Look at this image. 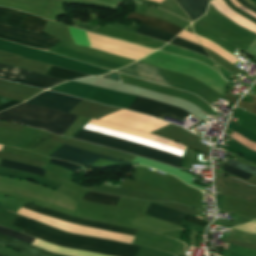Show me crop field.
<instances>
[{"label":"crop field","instance_id":"crop-field-13","mask_svg":"<svg viewBox=\"0 0 256 256\" xmlns=\"http://www.w3.org/2000/svg\"><path fill=\"white\" fill-rule=\"evenodd\" d=\"M153 51L154 50L146 49L133 45L131 43L116 40L115 44L110 50V53L137 60Z\"/></svg>","mask_w":256,"mask_h":256},{"label":"crop field","instance_id":"crop-field-12","mask_svg":"<svg viewBox=\"0 0 256 256\" xmlns=\"http://www.w3.org/2000/svg\"><path fill=\"white\" fill-rule=\"evenodd\" d=\"M69 31L75 44L84 45L88 47H91V44H92L93 48L100 49L107 52L110 50L113 43L115 42L114 39L98 36V35L87 32L91 41V44H90V41L86 32L72 28V27H69Z\"/></svg>","mask_w":256,"mask_h":256},{"label":"crop field","instance_id":"crop-field-14","mask_svg":"<svg viewBox=\"0 0 256 256\" xmlns=\"http://www.w3.org/2000/svg\"><path fill=\"white\" fill-rule=\"evenodd\" d=\"M145 215L156 217L177 225H179L184 217V214L160 207L152 203H150Z\"/></svg>","mask_w":256,"mask_h":256},{"label":"crop field","instance_id":"crop-field-7","mask_svg":"<svg viewBox=\"0 0 256 256\" xmlns=\"http://www.w3.org/2000/svg\"><path fill=\"white\" fill-rule=\"evenodd\" d=\"M128 109L134 110L136 112H141L155 116L157 118L163 119L165 115L171 116L173 118L183 120L185 116L189 113L166 104H162L156 101L149 100L147 98L136 97L133 103ZM186 118V117H185Z\"/></svg>","mask_w":256,"mask_h":256},{"label":"crop field","instance_id":"crop-field-17","mask_svg":"<svg viewBox=\"0 0 256 256\" xmlns=\"http://www.w3.org/2000/svg\"><path fill=\"white\" fill-rule=\"evenodd\" d=\"M0 243L6 244V245H10L22 250L27 251L29 254L33 255V256H64V255H59V254H55V253H51L48 251H45L43 249L34 247L32 245L23 243L21 241L18 240H13L4 236L0 235Z\"/></svg>","mask_w":256,"mask_h":256},{"label":"crop field","instance_id":"crop-field-19","mask_svg":"<svg viewBox=\"0 0 256 256\" xmlns=\"http://www.w3.org/2000/svg\"><path fill=\"white\" fill-rule=\"evenodd\" d=\"M46 21V19L26 14L19 28L33 30L41 33Z\"/></svg>","mask_w":256,"mask_h":256},{"label":"crop field","instance_id":"crop-field-26","mask_svg":"<svg viewBox=\"0 0 256 256\" xmlns=\"http://www.w3.org/2000/svg\"><path fill=\"white\" fill-rule=\"evenodd\" d=\"M62 161V160H61ZM61 161H58L56 159H51L50 163L51 164H55V165H59V166H62L64 168H67V169H70L72 171H75L79 168H81V166H77V165H73V164H69V163H65V162H61Z\"/></svg>","mask_w":256,"mask_h":256},{"label":"crop field","instance_id":"crop-field-4","mask_svg":"<svg viewBox=\"0 0 256 256\" xmlns=\"http://www.w3.org/2000/svg\"><path fill=\"white\" fill-rule=\"evenodd\" d=\"M26 13L0 7V23L13 27L19 26ZM0 24V38L27 46L48 50L60 40L40 35L38 33L13 28Z\"/></svg>","mask_w":256,"mask_h":256},{"label":"crop field","instance_id":"crop-field-3","mask_svg":"<svg viewBox=\"0 0 256 256\" xmlns=\"http://www.w3.org/2000/svg\"><path fill=\"white\" fill-rule=\"evenodd\" d=\"M73 137L86 140L94 144L116 148L124 152L147 157L158 162L166 163L181 168V157L157 149L144 147L132 142L120 140L117 138L109 137L106 135L94 133L83 129H81Z\"/></svg>","mask_w":256,"mask_h":256},{"label":"crop field","instance_id":"crop-field-27","mask_svg":"<svg viewBox=\"0 0 256 256\" xmlns=\"http://www.w3.org/2000/svg\"><path fill=\"white\" fill-rule=\"evenodd\" d=\"M184 220L194 222V223H196V224H198L200 226H203V227H205L206 224H207V222L201 221V220H199V219H197L195 217H191V216H187V215H185Z\"/></svg>","mask_w":256,"mask_h":256},{"label":"crop field","instance_id":"crop-field-10","mask_svg":"<svg viewBox=\"0 0 256 256\" xmlns=\"http://www.w3.org/2000/svg\"><path fill=\"white\" fill-rule=\"evenodd\" d=\"M0 234L19 239V240H21L23 242H27L29 244H31L32 241L34 240V238H32L30 236H27L25 234H22V233H19L16 231L5 229L3 227H0ZM32 245H35L37 247L43 248L48 251H52V252L59 253V254H65V255H69V256H106V255L94 254V253H89V252L64 249V248H60V247L54 246L52 244L46 243L44 241L37 240V239L34 240Z\"/></svg>","mask_w":256,"mask_h":256},{"label":"crop field","instance_id":"crop-field-16","mask_svg":"<svg viewBox=\"0 0 256 256\" xmlns=\"http://www.w3.org/2000/svg\"><path fill=\"white\" fill-rule=\"evenodd\" d=\"M127 18H138V19H140V21L142 23H145V24L151 25L153 27L162 29L164 31H167V32L175 35V36L182 31L181 28H179L177 26H174V25H172L168 22H165V21L160 20V19L152 18V17H147V16H144V15L130 13L127 16Z\"/></svg>","mask_w":256,"mask_h":256},{"label":"crop field","instance_id":"crop-field-11","mask_svg":"<svg viewBox=\"0 0 256 256\" xmlns=\"http://www.w3.org/2000/svg\"><path fill=\"white\" fill-rule=\"evenodd\" d=\"M116 71L129 74L135 77H139L145 80L160 83L163 85L171 86L169 82L164 78L159 68H154L139 61L135 62L131 66H127Z\"/></svg>","mask_w":256,"mask_h":256},{"label":"crop field","instance_id":"crop-field-24","mask_svg":"<svg viewBox=\"0 0 256 256\" xmlns=\"http://www.w3.org/2000/svg\"><path fill=\"white\" fill-rule=\"evenodd\" d=\"M227 162L230 166H233V167L238 168L240 170H243V171H246L248 173L256 175V168H254V167L245 166V165H243L239 162L232 161V160H227Z\"/></svg>","mask_w":256,"mask_h":256},{"label":"crop field","instance_id":"crop-field-21","mask_svg":"<svg viewBox=\"0 0 256 256\" xmlns=\"http://www.w3.org/2000/svg\"><path fill=\"white\" fill-rule=\"evenodd\" d=\"M0 167L22 170V171H26V172L36 174V175H40V176H43V173H44L43 169L28 166V165H24V164H20V163H16V162H12V161H9V160H4V159L1 160Z\"/></svg>","mask_w":256,"mask_h":256},{"label":"crop field","instance_id":"crop-field-25","mask_svg":"<svg viewBox=\"0 0 256 256\" xmlns=\"http://www.w3.org/2000/svg\"><path fill=\"white\" fill-rule=\"evenodd\" d=\"M222 165H223V171L230 172V173H232L234 175H237V176H239V177H241L245 180H247L251 176L248 173H245V172H242L240 170L234 169V168H232L230 166H227L225 164H222Z\"/></svg>","mask_w":256,"mask_h":256},{"label":"crop field","instance_id":"crop-field-31","mask_svg":"<svg viewBox=\"0 0 256 256\" xmlns=\"http://www.w3.org/2000/svg\"><path fill=\"white\" fill-rule=\"evenodd\" d=\"M178 37H180V38H184V39H187V40H189V41H191V42H193V43L199 44V43H198V42H196V41L190 40V39L185 38V37H182V36H180V35H178Z\"/></svg>","mask_w":256,"mask_h":256},{"label":"crop field","instance_id":"crop-field-2","mask_svg":"<svg viewBox=\"0 0 256 256\" xmlns=\"http://www.w3.org/2000/svg\"><path fill=\"white\" fill-rule=\"evenodd\" d=\"M76 117V115L26 103L0 112L1 120L26 124L59 135L65 133Z\"/></svg>","mask_w":256,"mask_h":256},{"label":"crop field","instance_id":"crop-field-22","mask_svg":"<svg viewBox=\"0 0 256 256\" xmlns=\"http://www.w3.org/2000/svg\"><path fill=\"white\" fill-rule=\"evenodd\" d=\"M47 75L58 77V78L69 79V80L89 76V75H86V74H82V73H78V72L58 68V67H55V66H53L50 69V71L47 73Z\"/></svg>","mask_w":256,"mask_h":256},{"label":"crop field","instance_id":"crop-field-29","mask_svg":"<svg viewBox=\"0 0 256 256\" xmlns=\"http://www.w3.org/2000/svg\"><path fill=\"white\" fill-rule=\"evenodd\" d=\"M246 52L256 55V40L251 44V46L246 50Z\"/></svg>","mask_w":256,"mask_h":256},{"label":"crop field","instance_id":"crop-field-9","mask_svg":"<svg viewBox=\"0 0 256 256\" xmlns=\"http://www.w3.org/2000/svg\"><path fill=\"white\" fill-rule=\"evenodd\" d=\"M49 157L66 160V161L73 162V163L83 165V166L91 165L93 162H95L100 157L130 165V163L115 160L112 158L97 155L94 153L79 150V149L72 148V147L65 146V145L61 146L59 149H57L55 152H53L51 155H49Z\"/></svg>","mask_w":256,"mask_h":256},{"label":"crop field","instance_id":"crop-field-20","mask_svg":"<svg viewBox=\"0 0 256 256\" xmlns=\"http://www.w3.org/2000/svg\"><path fill=\"white\" fill-rule=\"evenodd\" d=\"M118 199H119L118 196L100 194L95 192H87L83 198V200L85 201L97 202V203L108 204L113 206L116 205Z\"/></svg>","mask_w":256,"mask_h":256},{"label":"crop field","instance_id":"crop-field-30","mask_svg":"<svg viewBox=\"0 0 256 256\" xmlns=\"http://www.w3.org/2000/svg\"><path fill=\"white\" fill-rule=\"evenodd\" d=\"M242 6L246 7L247 9L251 10L252 12L256 13V9L251 5L247 4L244 0H237Z\"/></svg>","mask_w":256,"mask_h":256},{"label":"crop field","instance_id":"crop-field-15","mask_svg":"<svg viewBox=\"0 0 256 256\" xmlns=\"http://www.w3.org/2000/svg\"><path fill=\"white\" fill-rule=\"evenodd\" d=\"M183 10L189 15L191 21L204 15L208 0H176Z\"/></svg>","mask_w":256,"mask_h":256},{"label":"crop field","instance_id":"crop-field-23","mask_svg":"<svg viewBox=\"0 0 256 256\" xmlns=\"http://www.w3.org/2000/svg\"><path fill=\"white\" fill-rule=\"evenodd\" d=\"M170 43L175 44L177 46H180L184 49L191 50V51H194V52H197V53H200V54H203V55L207 56L203 47L195 45V44L190 43V42H187V41L182 40L178 37H175Z\"/></svg>","mask_w":256,"mask_h":256},{"label":"crop field","instance_id":"crop-field-1","mask_svg":"<svg viewBox=\"0 0 256 256\" xmlns=\"http://www.w3.org/2000/svg\"><path fill=\"white\" fill-rule=\"evenodd\" d=\"M13 220V219H12ZM10 225L23 233L57 245L112 256H136L140 247L66 233L17 215Z\"/></svg>","mask_w":256,"mask_h":256},{"label":"crop field","instance_id":"crop-field-18","mask_svg":"<svg viewBox=\"0 0 256 256\" xmlns=\"http://www.w3.org/2000/svg\"><path fill=\"white\" fill-rule=\"evenodd\" d=\"M136 32L139 33V34H143V35L153 37V38H156V39H159V40H163V41H166V42H168L172 38H174V36L164 32L162 30L155 29V28H152V27H150L148 25H144V24L137 27Z\"/></svg>","mask_w":256,"mask_h":256},{"label":"crop field","instance_id":"crop-field-5","mask_svg":"<svg viewBox=\"0 0 256 256\" xmlns=\"http://www.w3.org/2000/svg\"><path fill=\"white\" fill-rule=\"evenodd\" d=\"M18 214H21L23 216L41 221L43 223L49 224L51 226L60 228L62 230L68 231L70 233L75 234H81V235H87V236H93V237H99V238H105V239H112V240H118V241H124V242H131L132 238L122 235H117L113 233H108L104 231H99L95 229L85 228L81 226H76L72 224H68L26 209L21 208Z\"/></svg>","mask_w":256,"mask_h":256},{"label":"crop field","instance_id":"crop-field-6","mask_svg":"<svg viewBox=\"0 0 256 256\" xmlns=\"http://www.w3.org/2000/svg\"><path fill=\"white\" fill-rule=\"evenodd\" d=\"M0 78L44 89L66 81L4 64H0Z\"/></svg>","mask_w":256,"mask_h":256},{"label":"crop field","instance_id":"crop-field-28","mask_svg":"<svg viewBox=\"0 0 256 256\" xmlns=\"http://www.w3.org/2000/svg\"><path fill=\"white\" fill-rule=\"evenodd\" d=\"M19 103H21V102L12 100V101H10V102H7V103H5V104H2V105H0V111H2V110H4V109H7V108H9V107H11V106H14V105H16V104H19Z\"/></svg>","mask_w":256,"mask_h":256},{"label":"crop field","instance_id":"crop-field-8","mask_svg":"<svg viewBox=\"0 0 256 256\" xmlns=\"http://www.w3.org/2000/svg\"><path fill=\"white\" fill-rule=\"evenodd\" d=\"M81 101L82 99L45 91L26 101V103L69 112Z\"/></svg>","mask_w":256,"mask_h":256}]
</instances>
